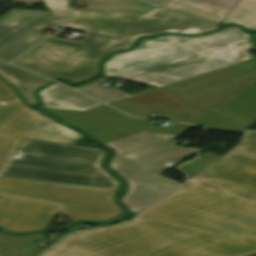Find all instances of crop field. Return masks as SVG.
Here are the masks:
<instances>
[{"mask_svg": "<svg viewBox=\"0 0 256 256\" xmlns=\"http://www.w3.org/2000/svg\"><path fill=\"white\" fill-rule=\"evenodd\" d=\"M43 109L88 132L102 143L156 128L148 123L149 120L129 117L107 105L84 112Z\"/></svg>", "mask_w": 256, "mask_h": 256, "instance_id": "obj_10", "label": "crop field"}, {"mask_svg": "<svg viewBox=\"0 0 256 256\" xmlns=\"http://www.w3.org/2000/svg\"><path fill=\"white\" fill-rule=\"evenodd\" d=\"M0 176L118 190L102 167L104 150L24 138Z\"/></svg>", "mask_w": 256, "mask_h": 256, "instance_id": "obj_4", "label": "crop field"}, {"mask_svg": "<svg viewBox=\"0 0 256 256\" xmlns=\"http://www.w3.org/2000/svg\"><path fill=\"white\" fill-rule=\"evenodd\" d=\"M51 16L50 12L13 9L0 18V50Z\"/></svg>", "mask_w": 256, "mask_h": 256, "instance_id": "obj_15", "label": "crop field"}, {"mask_svg": "<svg viewBox=\"0 0 256 256\" xmlns=\"http://www.w3.org/2000/svg\"><path fill=\"white\" fill-rule=\"evenodd\" d=\"M62 1L61 0H45L47 5H63L64 2L62 3Z\"/></svg>", "mask_w": 256, "mask_h": 256, "instance_id": "obj_27", "label": "crop field"}, {"mask_svg": "<svg viewBox=\"0 0 256 256\" xmlns=\"http://www.w3.org/2000/svg\"><path fill=\"white\" fill-rule=\"evenodd\" d=\"M0 75L16 86L30 104L37 103L33 91L51 81L27 70L4 63H0Z\"/></svg>", "mask_w": 256, "mask_h": 256, "instance_id": "obj_17", "label": "crop field"}, {"mask_svg": "<svg viewBox=\"0 0 256 256\" xmlns=\"http://www.w3.org/2000/svg\"><path fill=\"white\" fill-rule=\"evenodd\" d=\"M110 105L123 110L133 116H142L150 118L152 113H157V116L169 118L170 121H182L190 122L203 111L197 110H185V109H175L148 105H138L129 103L114 102Z\"/></svg>", "mask_w": 256, "mask_h": 256, "instance_id": "obj_18", "label": "crop field"}, {"mask_svg": "<svg viewBox=\"0 0 256 256\" xmlns=\"http://www.w3.org/2000/svg\"><path fill=\"white\" fill-rule=\"evenodd\" d=\"M38 94L46 108L83 111L104 105L59 83L43 88Z\"/></svg>", "mask_w": 256, "mask_h": 256, "instance_id": "obj_16", "label": "crop field"}, {"mask_svg": "<svg viewBox=\"0 0 256 256\" xmlns=\"http://www.w3.org/2000/svg\"><path fill=\"white\" fill-rule=\"evenodd\" d=\"M120 102H129V103H139V104H148V105H157V106H166V107H176V108H185L181 103L171 98L161 90L157 89L150 91L144 94H140L134 97H130Z\"/></svg>", "mask_w": 256, "mask_h": 256, "instance_id": "obj_21", "label": "crop field"}, {"mask_svg": "<svg viewBox=\"0 0 256 256\" xmlns=\"http://www.w3.org/2000/svg\"><path fill=\"white\" fill-rule=\"evenodd\" d=\"M48 8L53 16L34 27L12 44L1 50L0 61L8 62L12 60L31 46L44 39L47 36L42 34L45 29H54L69 19V14L65 6H48Z\"/></svg>", "mask_w": 256, "mask_h": 256, "instance_id": "obj_14", "label": "crop field"}, {"mask_svg": "<svg viewBox=\"0 0 256 256\" xmlns=\"http://www.w3.org/2000/svg\"><path fill=\"white\" fill-rule=\"evenodd\" d=\"M254 36L256 37V34H254Z\"/></svg>", "mask_w": 256, "mask_h": 256, "instance_id": "obj_28", "label": "crop field"}, {"mask_svg": "<svg viewBox=\"0 0 256 256\" xmlns=\"http://www.w3.org/2000/svg\"><path fill=\"white\" fill-rule=\"evenodd\" d=\"M176 137L143 132L105 143L115 152L111 169L128 183V192L121 200L131 214L181 184L158 175L170 168L165 163L174 165L196 152L167 141Z\"/></svg>", "mask_w": 256, "mask_h": 256, "instance_id": "obj_5", "label": "crop field"}, {"mask_svg": "<svg viewBox=\"0 0 256 256\" xmlns=\"http://www.w3.org/2000/svg\"><path fill=\"white\" fill-rule=\"evenodd\" d=\"M249 38L234 26L200 37L145 38L137 48L107 60L103 75L160 87L255 57Z\"/></svg>", "mask_w": 256, "mask_h": 256, "instance_id": "obj_3", "label": "crop field"}, {"mask_svg": "<svg viewBox=\"0 0 256 256\" xmlns=\"http://www.w3.org/2000/svg\"><path fill=\"white\" fill-rule=\"evenodd\" d=\"M81 136L24 106L0 126V170L23 137L72 144Z\"/></svg>", "mask_w": 256, "mask_h": 256, "instance_id": "obj_9", "label": "crop field"}, {"mask_svg": "<svg viewBox=\"0 0 256 256\" xmlns=\"http://www.w3.org/2000/svg\"><path fill=\"white\" fill-rule=\"evenodd\" d=\"M59 205L0 196V225L14 232L47 228Z\"/></svg>", "mask_w": 256, "mask_h": 256, "instance_id": "obj_11", "label": "crop field"}, {"mask_svg": "<svg viewBox=\"0 0 256 256\" xmlns=\"http://www.w3.org/2000/svg\"><path fill=\"white\" fill-rule=\"evenodd\" d=\"M16 94L15 90L0 80V99L9 100Z\"/></svg>", "mask_w": 256, "mask_h": 256, "instance_id": "obj_25", "label": "crop field"}, {"mask_svg": "<svg viewBox=\"0 0 256 256\" xmlns=\"http://www.w3.org/2000/svg\"><path fill=\"white\" fill-rule=\"evenodd\" d=\"M46 239L44 234L10 237L0 234V256H38L44 250L35 247L33 241Z\"/></svg>", "mask_w": 256, "mask_h": 256, "instance_id": "obj_19", "label": "crop field"}, {"mask_svg": "<svg viewBox=\"0 0 256 256\" xmlns=\"http://www.w3.org/2000/svg\"><path fill=\"white\" fill-rule=\"evenodd\" d=\"M186 184L256 212V131Z\"/></svg>", "mask_w": 256, "mask_h": 256, "instance_id": "obj_6", "label": "crop field"}, {"mask_svg": "<svg viewBox=\"0 0 256 256\" xmlns=\"http://www.w3.org/2000/svg\"><path fill=\"white\" fill-rule=\"evenodd\" d=\"M73 18L62 28L84 31L73 43L50 36L12 62L70 83L97 75L98 63L111 51L130 48L142 35L172 32L196 34L219 28L160 8L143 16L69 7Z\"/></svg>", "mask_w": 256, "mask_h": 256, "instance_id": "obj_2", "label": "crop field"}, {"mask_svg": "<svg viewBox=\"0 0 256 256\" xmlns=\"http://www.w3.org/2000/svg\"><path fill=\"white\" fill-rule=\"evenodd\" d=\"M80 91L104 102H110L119 98H123L126 96H130L129 94L112 87L110 89H107L99 84L91 85L82 89H79Z\"/></svg>", "mask_w": 256, "mask_h": 256, "instance_id": "obj_22", "label": "crop field"}, {"mask_svg": "<svg viewBox=\"0 0 256 256\" xmlns=\"http://www.w3.org/2000/svg\"><path fill=\"white\" fill-rule=\"evenodd\" d=\"M256 84V58L160 88L189 109L218 112Z\"/></svg>", "mask_w": 256, "mask_h": 256, "instance_id": "obj_8", "label": "crop field"}, {"mask_svg": "<svg viewBox=\"0 0 256 256\" xmlns=\"http://www.w3.org/2000/svg\"><path fill=\"white\" fill-rule=\"evenodd\" d=\"M23 106L22 101L17 97V95L9 101L0 100V125Z\"/></svg>", "mask_w": 256, "mask_h": 256, "instance_id": "obj_23", "label": "crop field"}, {"mask_svg": "<svg viewBox=\"0 0 256 256\" xmlns=\"http://www.w3.org/2000/svg\"><path fill=\"white\" fill-rule=\"evenodd\" d=\"M138 1H142V2H145V3H149V4H152V5L162 7L163 5H165L170 0H138Z\"/></svg>", "mask_w": 256, "mask_h": 256, "instance_id": "obj_26", "label": "crop field"}, {"mask_svg": "<svg viewBox=\"0 0 256 256\" xmlns=\"http://www.w3.org/2000/svg\"><path fill=\"white\" fill-rule=\"evenodd\" d=\"M115 191L0 177V194L62 204L72 219L104 221L122 212L113 202Z\"/></svg>", "mask_w": 256, "mask_h": 256, "instance_id": "obj_7", "label": "crop field"}, {"mask_svg": "<svg viewBox=\"0 0 256 256\" xmlns=\"http://www.w3.org/2000/svg\"><path fill=\"white\" fill-rule=\"evenodd\" d=\"M256 213L187 185L127 224L65 237L42 256H247Z\"/></svg>", "mask_w": 256, "mask_h": 256, "instance_id": "obj_1", "label": "crop field"}, {"mask_svg": "<svg viewBox=\"0 0 256 256\" xmlns=\"http://www.w3.org/2000/svg\"><path fill=\"white\" fill-rule=\"evenodd\" d=\"M193 127L195 126L176 123L168 128H157V129L150 130L148 132L163 133V134H170V135H181L186 130Z\"/></svg>", "mask_w": 256, "mask_h": 256, "instance_id": "obj_24", "label": "crop field"}, {"mask_svg": "<svg viewBox=\"0 0 256 256\" xmlns=\"http://www.w3.org/2000/svg\"><path fill=\"white\" fill-rule=\"evenodd\" d=\"M256 121V85L218 113L205 111L192 121L206 129L243 133Z\"/></svg>", "mask_w": 256, "mask_h": 256, "instance_id": "obj_12", "label": "crop field"}, {"mask_svg": "<svg viewBox=\"0 0 256 256\" xmlns=\"http://www.w3.org/2000/svg\"><path fill=\"white\" fill-rule=\"evenodd\" d=\"M222 22L237 23L256 30V0H240Z\"/></svg>", "mask_w": 256, "mask_h": 256, "instance_id": "obj_20", "label": "crop field"}, {"mask_svg": "<svg viewBox=\"0 0 256 256\" xmlns=\"http://www.w3.org/2000/svg\"><path fill=\"white\" fill-rule=\"evenodd\" d=\"M239 0H171L163 9L219 24Z\"/></svg>", "mask_w": 256, "mask_h": 256, "instance_id": "obj_13", "label": "crop field"}]
</instances>
